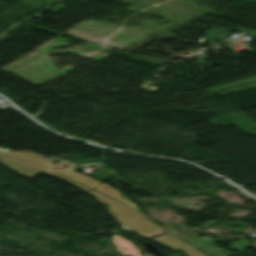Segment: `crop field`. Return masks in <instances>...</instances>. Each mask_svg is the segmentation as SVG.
Masks as SVG:
<instances>
[{"label": "crop field", "instance_id": "3", "mask_svg": "<svg viewBox=\"0 0 256 256\" xmlns=\"http://www.w3.org/2000/svg\"><path fill=\"white\" fill-rule=\"evenodd\" d=\"M0 153H3V152L0 151ZM3 154H7V155H11V156H14V157H17V158H21V159H24V160H27V161H30V162H33V163H37V164L46 166V167H50L51 165H53L45 157H43L41 155L29 153V152H9V153H3ZM50 168H52V167H50ZM52 169H54V168H52ZM54 170L66 175V176H68V177H70V178H72V179H74V180H76V181H78L82 184H85V185H87L91 188H93L96 185H98L99 183H101V182H99L97 180H94V179H91L89 177L74 173L73 166L62 169V170H57V169H54Z\"/></svg>", "mask_w": 256, "mask_h": 256}, {"label": "crop field", "instance_id": "8", "mask_svg": "<svg viewBox=\"0 0 256 256\" xmlns=\"http://www.w3.org/2000/svg\"><path fill=\"white\" fill-rule=\"evenodd\" d=\"M249 222L243 223L240 228L232 227V231L238 234Z\"/></svg>", "mask_w": 256, "mask_h": 256}, {"label": "crop field", "instance_id": "1", "mask_svg": "<svg viewBox=\"0 0 256 256\" xmlns=\"http://www.w3.org/2000/svg\"><path fill=\"white\" fill-rule=\"evenodd\" d=\"M87 194L95 197L97 202L107 204L108 206L105 209L114 217L123 229L136 232L144 238H150L153 235L163 233L126 206L93 190Z\"/></svg>", "mask_w": 256, "mask_h": 256}, {"label": "crop field", "instance_id": "6", "mask_svg": "<svg viewBox=\"0 0 256 256\" xmlns=\"http://www.w3.org/2000/svg\"><path fill=\"white\" fill-rule=\"evenodd\" d=\"M93 189H95V190H97V191H100V192H102V193H104V194H106V195H108V196H110V197H112V198H114V199H116V200H118V201H120V202H122V203H124V204H126V205H128V206H130L131 208H133L134 210H136L137 212H139L141 215H143L145 218H147L144 214H142L138 209H137V207L133 204V202L128 198V197H126L123 193H121V192H119V191H117V190H115V189H113V188H111V187H109V186H107L106 185V183H101V184H99L98 186H96L95 188H93ZM149 221H151L149 218H147ZM152 223H154L153 221H151ZM155 224V223H154ZM157 225V224H156ZM158 226V225H157ZM160 227V226H159ZM160 228H162V229H164L165 231H167V232H170L169 230H167V229H165V228H163V227H160ZM166 232V233H167Z\"/></svg>", "mask_w": 256, "mask_h": 256}, {"label": "crop field", "instance_id": "5", "mask_svg": "<svg viewBox=\"0 0 256 256\" xmlns=\"http://www.w3.org/2000/svg\"><path fill=\"white\" fill-rule=\"evenodd\" d=\"M160 244H163L171 249L181 250L187 253L189 256H209L169 235H165L159 238L152 239Z\"/></svg>", "mask_w": 256, "mask_h": 256}, {"label": "crop field", "instance_id": "7", "mask_svg": "<svg viewBox=\"0 0 256 256\" xmlns=\"http://www.w3.org/2000/svg\"><path fill=\"white\" fill-rule=\"evenodd\" d=\"M112 243L116 246V249L122 256H139L134 245L122 237H118L117 235L113 234Z\"/></svg>", "mask_w": 256, "mask_h": 256}, {"label": "crop field", "instance_id": "2", "mask_svg": "<svg viewBox=\"0 0 256 256\" xmlns=\"http://www.w3.org/2000/svg\"><path fill=\"white\" fill-rule=\"evenodd\" d=\"M0 163L4 164L5 166H7L8 168H10L11 170L23 175V176H26V177H30V178H33L34 176H36L38 173L42 172V173H48L54 177H57L79 189H81L82 191L84 192H88L90 191L91 189L75 182V181H72L68 178H65L51 170H48L42 166H39V165H35V164H32V163H29V162H25V161H22V160H18V159H15V158H11V157H8V156H5V155H1L0 154Z\"/></svg>", "mask_w": 256, "mask_h": 256}, {"label": "crop field", "instance_id": "9", "mask_svg": "<svg viewBox=\"0 0 256 256\" xmlns=\"http://www.w3.org/2000/svg\"><path fill=\"white\" fill-rule=\"evenodd\" d=\"M215 223H216V220H213V221H211V222H209V223H207V224H205V225H203V226H201V227H199V228H205V227H207V226L214 225Z\"/></svg>", "mask_w": 256, "mask_h": 256}, {"label": "crop field", "instance_id": "4", "mask_svg": "<svg viewBox=\"0 0 256 256\" xmlns=\"http://www.w3.org/2000/svg\"><path fill=\"white\" fill-rule=\"evenodd\" d=\"M213 256H227L228 253L227 251H224L222 249L216 248L212 245V242L217 239H213L211 237H206L203 239H200L197 237L194 231L192 230H187L185 232L181 233H176V234H171ZM221 240H226V239H221Z\"/></svg>", "mask_w": 256, "mask_h": 256}]
</instances>
